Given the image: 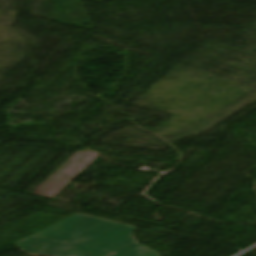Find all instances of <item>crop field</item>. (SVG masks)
Wrapping results in <instances>:
<instances>
[{
    "mask_svg": "<svg viewBox=\"0 0 256 256\" xmlns=\"http://www.w3.org/2000/svg\"><path fill=\"white\" fill-rule=\"evenodd\" d=\"M134 230L131 226L77 214L15 245L26 253L46 256H159L135 242Z\"/></svg>",
    "mask_w": 256,
    "mask_h": 256,
    "instance_id": "8a807250",
    "label": "crop field"
}]
</instances>
